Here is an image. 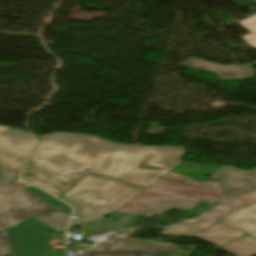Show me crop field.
<instances>
[{
    "mask_svg": "<svg viewBox=\"0 0 256 256\" xmlns=\"http://www.w3.org/2000/svg\"><path fill=\"white\" fill-rule=\"evenodd\" d=\"M184 148L112 144L80 134L57 133L40 137L27 168L74 185L94 172L142 187L169 171L203 182L219 167L181 163Z\"/></svg>",
    "mask_w": 256,
    "mask_h": 256,
    "instance_id": "8a807250",
    "label": "crop field"
},
{
    "mask_svg": "<svg viewBox=\"0 0 256 256\" xmlns=\"http://www.w3.org/2000/svg\"><path fill=\"white\" fill-rule=\"evenodd\" d=\"M199 200L220 203L226 197L219 184L201 183L169 172L117 212L151 216L170 208L188 209Z\"/></svg>",
    "mask_w": 256,
    "mask_h": 256,
    "instance_id": "ac0d7876",
    "label": "crop field"
},
{
    "mask_svg": "<svg viewBox=\"0 0 256 256\" xmlns=\"http://www.w3.org/2000/svg\"><path fill=\"white\" fill-rule=\"evenodd\" d=\"M145 189L89 174L61 199L80 211L70 224H85L104 219Z\"/></svg>",
    "mask_w": 256,
    "mask_h": 256,
    "instance_id": "34b2d1b8",
    "label": "crop field"
},
{
    "mask_svg": "<svg viewBox=\"0 0 256 256\" xmlns=\"http://www.w3.org/2000/svg\"><path fill=\"white\" fill-rule=\"evenodd\" d=\"M49 206L33 194L7 185L5 178L0 177V231L46 211Z\"/></svg>",
    "mask_w": 256,
    "mask_h": 256,
    "instance_id": "412701ff",
    "label": "crop field"
},
{
    "mask_svg": "<svg viewBox=\"0 0 256 256\" xmlns=\"http://www.w3.org/2000/svg\"><path fill=\"white\" fill-rule=\"evenodd\" d=\"M34 145L31 134L19 129L0 134V175L18 178Z\"/></svg>",
    "mask_w": 256,
    "mask_h": 256,
    "instance_id": "f4fd0767",
    "label": "crop field"
},
{
    "mask_svg": "<svg viewBox=\"0 0 256 256\" xmlns=\"http://www.w3.org/2000/svg\"><path fill=\"white\" fill-rule=\"evenodd\" d=\"M53 229L38 220L31 218L22 225L7 232L13 256H49V235L41 230Z\"/></svg>",
    "mask_w": 256,
    "mask_h": 256,
    "instance_id": "dd49c442",
    "label": "crop field"
},
{
    "mask_svg": "<svg viewBox=\"0 0 256 256\" xmlns=\"http://www.w3.org/2000/svg\"><path fill=\"white\" fill-rule=\"evenodd\" d=\"M176 248V245L116 237L114 243L104 244L103 251H89L88 256H116L117 253L141 256H168Z\"/></svg>",
    "mask_w": 256,
    "mask_h": 256,
    "instance_id": "e52e79f7",
    "label": "crop field"
},
{
    "mask_svg": "<svg viewBox=\"0 0 256 256\" xmlns=\"http://www.w3.org/2000/svg\"><path fill=\"white\" fill-rule=\"evenodd\" d=\"M256 202V191L246 194L244 196L235 198L227 203H225L227 206L230 207L228 210H224L220 207L206 213L201 218L187 222L182 225L174 226L162 233V235L166 234H187L190 236H198L205 230H207V227L211 224H214L221 220L222 218L229 215L231 212H233L235 209H237L240 206L250 204Z\"/></svg>",
    "mask_w": 256,
    "mask_h": 256,
    "instance_id": "d8731c3e",
    "label": "crop field"
},
{
    "mask_svg": "<svg viewBox=\"0 0 256 256\" xmlns=\"http://www.w3.org/2000/svg\"><path fill=\"white\" fill-rule=\"evenodd\" d=\"M216 173L221 175V183L229 198L256 188V169L244 172L223 166Z\"/></svg>",
    "mask_w": 256,
    "mask_h": 256,
    "instance_id": "5a996713",
    "label": "crop field"
},
{
    "mask_svg": "<svg viewBox=\"0 0 256 256\" xmlns=\"http://www.w3.org/2000/svg\"><path fill=\"white\" fill-rule=\"evenodd\" d=\"M220 222L240 229L256 238V203L235 210Z\"/></svg>",
    "mask_w": 256,
    "mask_h": 256,
    "instance_id": "3316defc",
    "label": "crop field"
},
{
    "mask_svg": "<svg viewBox=\"0 0 256 256\" xmlns=\"http://www.w3.org/2000/svg\"><path fill=\"white\" fill-rule=\"evenodd\" d=\"M21 178L24 182L32 183L59 197L65 191H67L70 187H72V185H69L67 183L45 176L43 174L37 173L35 171L29 170L27 168H25Z\"/></svg>",
    "mask_w": 256,
    "mask_h": 256,
    "instance_id": "28ad6ade",
    "label": "crop field"
},
{
    "mask_svg": "<svg viewBox=\"0 0 256 256\" xmlns=\"http://www.w3.org/2000/svg\"><path fill=\"white\" fill-rule=\"evenodd\" d=\"M185 65L220 73L221 79L251 76L250 67L218 66L197 60H188Z\"/></svg>",
    "mask_w": 256,
    "mask_h": 256,
    "instance_id": "d1516ede",
    "label": "crop field"
},
{
    "mask_svg": "<svg viewBox=\"0 0 256 256\" xmlns=\"http://www.w3.org/2000/svg\"><path fill=\"white\" fill-rule=\"evenodd\" d=\"M246 233L236 229L227 227L225 225L216 223L212 229H209L196 238L206 240L217 246H220L236 237L242 236Z\"/></svg>",
    "mask_w": 256,
    "mask_h": 256,
    "instance_id": "22f410ed",
    "label": "crop field"
},
{
    "mask_svg": "<svg viewBox=\"0 0 256 256\" xmlns=\"http://www.w3.org/2000/svg\"><path fill=\"white\" fill-rule=\"evenodd\" d=\"M35 218L59 231H65L70 215L52 206L45 214L39 215Z\"/></svg>",
    "mask_w": 256,
    "mask_h": 256,
    "instance_id": "cbeb9de0",
    "label": "crop field"
},
{
    "mask_svg": "<svg viewBox=\"0 0 256 256\" xmlns=\"http://www.w3.org/2000/svg\"><path fill=\"white\" fill-rule=\"evenodd\" d=\"M222 248L238 256H253L256 254V240L247 235Z\"/></svg>",
    "mask_w": 256,
    "mask_h": 256,
    "instance_id": "5142ce71",
    "label": "crop field"
},
{
    "mask_svg": "<svg viewBox=\"0 0 256 256\" xmlns=\"http://www.w3.org/2000/svg\"><path fill=\"white\" fill-rule=\"evenodd\" d=\"M239 23L252 32V34L243 37L244 41L250 46L256 47V16L240 21Z\"/></svg>",
    "mask_w": 256,
    "mask_h": 256,
    "instance_id": "d9b57169",
    "label": "crop field"
},
{
    "mask_svg": "<svg viewBox=\"0 0 256 256\" xmlns=\"http://www.w3.org/2000/svg\"><path fill=\"white\" fill-rule=\"evenodd\" d=\"M24 189H26L27 191L33 193L34 195H36V196L42 198L43 200L49 202L51 205L57 200V199H55V198H53V197L47 195L48 193L46 194L45 192H43V191H42L41 189H39V188L32 187V186H28V187H26V188H24Z\"/></svg>",
    "mask_w": 256,
    "mask_h": 256,
    "instance_id": "733c2abd",
    "label": "crop field"
},
{
    "mask_svg": "<svg viewBox=\"0 0 256 256\" xmlns=\"http://www.w3.org/2000/svg\"><path fill=\"white\" fill-rule=\"evenodd\" d=\"M0 256H12L5 231L0 233Z\"/></svg>",
    "mask_w": 256,
    "mask_h": 256,
    "instance_id": "4a817a6b",
    "label": "crop field"
},
{
    "mask_svg": "<svg viewBox=\"0 0 256 256\" xmlns=\"http://www.w3.org/2000/svg\"><path fill=\"white\" fill-rule=\"evenodd\" d=\"M53 206L59 208L60 210L66 212V213H68V214H71V209H70V207H68L66 204H64V203H62V202H60V201H58V202H57L56 204H54Z\"/></svg>",
    "mask_w": 256,
    "mask_h": 256,
    "instance_id": "bc2a9ffb",
    "label": "crop field"
},
{
    "mask_svg": "<svg viewBox=\"0 0 256 256\" xmlns=\"http://www.w3.org/2000/svg\"><path fill=\"white\" fill-rule=\"evenodd\" d=\"M189 252L179 249L174 255L172 256H189Z\"/></svg>",
    "mask_w": 256,
    "mask_h": 256,
    "instance_id": "214f88e0",
    "label": "crop field"
},
{
    "mask_svg": "<svg viewBox=\"0 0 256 256\" xmlns=\"http://www.w3.org/2000/svg\"><path fill=\"white\" fill-rule=\"evenodd\" d=\"M10 129H11L10 127H6V126L0 125V133H1V132L8 131V130H10Z\"/></svg>",
    "mask_w": 256,
    "mask_h": 256,
    "instance_id": "92a150f3",
    "label": "crop field"
},
{
    "mask_svg": "<svg viewBox=\"0 0 256 256\" xmlns=\"http://www.w3.org/2000/svg\"><path fill=\"white\" fill-rule=\"evenodd\" d=\"M220 207H222V208H224V209H227V208H229V207H227L226 205H221Z\"/></svg>",
    "mask_w": 256,
    "mask_h": 256,
    "instance_id": "dafd665d",
    "label": "crop field"
},
{
    "mask_svg": "<svg viewBox=\"0 0 256 256\" xmlns=\"http://www.w3.org/2000/svg\"><path fill=\"white\" fill-rule=\"evenodd\" d=\"M117 256H133V255H123V254H118Z\"/></svg>",
    "mask_w": 256,
    "mask_h": 256,
    "instance_id": "00972430",
    "label": "crop field"
}]
</instances>
